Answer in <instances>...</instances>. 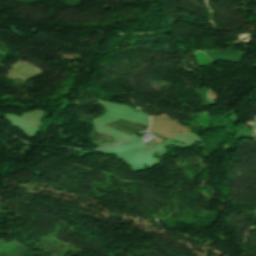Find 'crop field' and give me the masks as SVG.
Segmentation results:
<instances>
[{
    "label": "crop field",
    "mask_w": 256,
    "mask_h": 256,
    "mask_svg": "<svg viewBox=\"0 0 256 256\" xmlns=\"http://www.w3.org/2000/svg\"><path fill=\"white\" fill-rule=\"evenodd\" d=\"M105 126H108L110 128L116 129L118 131L130 134V135H134L137 132L146 130L148 128V126H146V125H142V124H138V123L122 120V119L114 121Z\"/></svg>",
    "instance_id": "obj_1"
},
{
    "label": "crop field",
    "mask_w": 256,
    "mask_h": 256,
    "mask_svg": "<svg viewBox=\"0 0 256 256\" xmlns=\"http://www.w3.org/2000/svg\"><path fill=\"white\" fill-rule=\"evenodd\" d=\"M1 65V64H0Z\"/></svg>",
    "instance_id": "obj_2"
}]
</instances>
